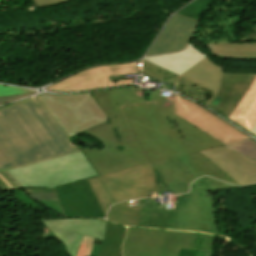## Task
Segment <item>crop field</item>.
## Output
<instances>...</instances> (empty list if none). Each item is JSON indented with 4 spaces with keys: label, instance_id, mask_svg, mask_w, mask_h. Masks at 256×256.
<instances>
[{
    "label": "crop field",
    "instance_id": "obj_1",
    "mask_svg": "<svg viewBox=\"0 0 256 256\" xmlns=\"http://www.w3.org/2000/svg\"><path fill=\"white\" fill-rule=\"evenodd\" d=\"M40 96L0 108V172L80 152Z\"/></svg>",
    "mask_w": 256,
    "mask_h": 256
},
{
    "label": "crop field",
    "instance_id": "obj_2",
    "mask_svg": "<svg viewBox=\"0 0 256 256\" xmlns=\"http://www.w3.org/2000/svg\"><path fill=\"white\" fill-rule=\"evenodd\" d=\"M159 92L152 90L149 101H145L143 89L140 88L91 93L112 122L81 133L98 139L106 147L104 150L81 148L100 175L148 163L121 106L168 101L176 95L172 93L169 97H162L158 96Z\"/></svg>",
    "mask_w": 256,
    "mask_h": 256
},
{
    "label": "crop field",
    "instance_id": "obj_3",
    "mask_svg": "<svg viewBox=\"0 0 256 256\" xmlns=\"http://www.w3.org/2000/svg\"><path fill=\"white\" fill-rule=\"evenodd\" d=\"M123 109L149 162L223 146L175 116L172 101Z\"/></svg>",
    "mask_w": 256,
    "mask_h": 256
},
{
    "label": "crop field",
    "instance_id": "obj_4",
    "mask_svg": "<svg viewBox=\"0 0 256 256\" xmlns=\"http://www.w3.org/2000/svg\"><path fill=\"white\" fill-rule=\"evenodd\" d=\"M23 187L55 188L99 176L81 153L8 171Z\"/></svg>",
    "mask_w": 256,
    "mask_h": 256
},
{
    "label": "crop field",
    "instance_id": "obj_5",
    "mask_svg": "<svg viewBox=\"0 0 256 256\" xmlns=\"http://www.w3.org/2000/svg\"><path fill=\"white\" fill-rule=\"evenodd\" d=\"M89 183L105 216L116 202L151 197L156 191L151 163L92 178Z\"/></svg>",
    "mask_w": 256,
    "mask_h": 256
},
{
    "label": "crop field",
    "instance_id": "obj_6",
    "mask_svg": "<svg viewBox=\"0 0 256 256\" xmlns=\"http://www.w3.org/2000/svg\"><path fill=\"white\" fill-rule=\"evenodd\" d=\"M152 164L155 169L157 194L165 191L172 194L186 193L189 191V184L203 175L240 185L199 152L163 159Z\"/></svg>",
    "mask_w": 256,
    "mask_h": 256
},
{
    "label": "crop field",
    "instance_id": "obj_7",
    "mask_svg": "<svg viewBox=\"0 0 256 256\" xmlns=\"http://www.w3.org/2000/svg\"><path fill=\"white\" fill-rule=\"evenodd\" d=\"M236 186L202 177L193 182L191 192L178 195V230L203 231L220 235L215 223V209L212 191Z\"/></svg>",
    "mask_w": 256,
    "mask_h": 256
},
{
    "label": "crop field",
    "instance_id": "obj_8",
    "mask_svg": "<svg viewBox=\"0 0 256 256\" xmlns=\"http://www.w3.org/2000/svg\"><path fill=\"white\" fill-rule=\"evenodd\" d=\"M40 96L71 137L108 119L90 93Z\"/></svg>",
    "mask_w": 256,
    "mask_h": 256
},
{
    "label": "crop field",
    "instance_id": "obj_9",
    "mask_svg": "<svg viewBox=\"0 0 256 256\" xmlns=\"http://www.w3.org/2000/svg\"><path fill=\"white\" fill-rule=\"evenodd\" d=\"M144 60L216 92L223 75V67L214 65L210 58L192 45L175 54L148 57Z\"/></svg>",
    "mask_w": 256,
    "mask_h": 256
},
{
    "label": "crop field",
    "instance_id": "obj_10",
    "mask_svg": "<svg viewBox=\"0 0 256 256\" xmlns=\"http://www.w3.org/2000/svg\"><path fill=\"white\" fill-rule=\"evenodd\" d=\"M45 225L82 233L104 240L98 256H122L121 244L126 227L102 220L85 218L43 219Z\"/></svg>",
    "mask_w": 256,
    "mask_h": 256
},
{
    "label": "crop field",
    "instance_id": "obj_11",
    "mask_svg": "<svg viewBox=\"0 0 256 256\" xmlns=\"http://www.w3.org/2000/svg\"><path fill=\"white\" fill-rule=\"evenodd\" d=\"M173 103L175 107V115L181 117L183 120L225 145L243 141L250 137L199 105L183 97L176 95Z\"/></svg>",
    "mask_w": 256,
    "mask_h": 256
},
{
    "label": "crop field",
    "instance_id": "obj_12",
    "mask_svg": "<svg viewBox=\"0 0 256 256\" xmlns=\"http://www.w3.org/2000/svg\"><path fill=\"white\" fill-rule=\"evenodd\" d=\"M55 190L65 216L105 218L87 180Z\"/></svg>",
    "mask_w": 256,
    "mask_h": 256
},
{
    "label": "crop field",
    "instance_id": "obj_13",
    "mask_svg": "<svg viewBox=\"0 0 256 256\" xmlns=\"http://www.w3.org/2000/svg\"><path fill=\"white\" fill-rule=\"evenodd\" d=\"M137 74L136 62L133 64H122L98 67L86 70L61 82H58L47 90L54 91H82L107 87L110 75Z\"/></svg>",
    "mask_w": 256,
    "mask_h": 256
},
{
    "label": "crop field",
    "instance_id": "obj_14",
    "mask_svg": "<svg viewBox=\"0 0 256 256\" xmlns=\"http://www.w3.org/2000/svg\"><path fill=\"white\" fill-rule=\"evenodd\" d=\"M169 231L129 227L124 256H165Z\"/></svg>",
    "mask_w": 256,
    "mask_h": 256
},
{
    "label": "crop field",
    "instance_id": "obj_15",
    "mask_svg": "<svg viewBox=\"0 0 256 256\" xmlns=\"http://www.w3.org/2000/svg\"><path fill=\"white\" fill-rule=\"evenodd\" d=\"M196 22L194 19L175 14L147 56L183 50L193 35Z\"/></svg>",
    "mask_w": 256,
    "mask_h": 256
},
{
    "label": "crop field",
    "instance_id": "obj_16",
    "mask_svg": "<svg viewBox=\"0 0 256 256\" xmlns=\"http://www.w3.org/2000/svg\"><path fill=\"white\" fill-rule=\"evenodd\" d=\"M256 74L224 73L217 95L208 105L226 117H229Z\"/></svg>",
    "mask_w": 256,
    "mask_h": 256
},
{
    "label": "crop field",
    "instance_id": "obj_17",
    "mask_svg": "<svg viewBox=\"0 0 256 256\" xmlns=\"http://www.w3.org/2000/svg\"><path fill=\"white\" fill-rule=\"evenodd\" d=\"M241 185L256 182V162L224 147L201 151Z\"/></svg>",
    "mask_w": 256,
    "mask_h": 256
},
{
    "label": "crop field",
    "instance_id": "obj_18",
    "mask_svg": "<svg viewBox=\"0 0 256 256\" xmlns=\"http://www.w3.org/2000/svg\"><path fill=\"white\" fill-rule=\"evenodd\" d=\"M149 73V74H148ZM143 76H150L153 79L175 83L174 91L185 94L204 105L210 103L216 92L190 82L178 75L148 63L143 60ZM184 95V96H185Z\"/></svg>",
    "mask_w": 256,
    "mask_h": 256
},
{
    "label": "crop field",
    "instance_id": "obj_19",
    "mask_svg": "<svg viewBox=\"0 0 256 256\" xmlns=\"http://www.w3.org/2000/svg\"><path fill=\"white\" fill-rule=\"evenodd\" d=\"M178 210L159 209V203L139 200L138 226L177 230Z\"/></svg>",
    "mask_w": 256,
    "mask_h": 256
},
{
    "label": "crop field",
    "instance_id": "obj_20",
    "mask_svg": "<svg viewBox=\"0 0 256 256\" xmlns=\"http://www.w3.org/2000/svg\"><path fill=\"white\" fill-rule=\"evenodd\" d=\"M230 119L249 132L256 124V79L249 87L239 104L232 112Z\"/></svg>",
    "mask_w": 256,
    "mask_h": 256
},
{
    "label": "crop field",
    "instance_id": "obj_21",
    "mask_svg": "<svg viewBox=\"0 0 256 256\" xmlns=\"http://www.w3.org/2000/svg\"><path fill=\"white\" fill-rule=\"evenodd\" d=\"M48 228L62 240L69 251V256H97L101 246L94 245L93 238Z\"/></svg>",
    "mask_w": 256,
    "mask_h": 256
},
{
    "label": "crop field",
    "instance_id": "obj_22",
    "mask_svg": "<svg viewBox=\"0 0 256 256\" xmlns=\"http://www.w3.org/2000/svg\"><path fill=\"white\" fill-rule=\"evenodd\" d=\"M255 42H232L207 45L213 55L237 60H256Z\"/></svg>",
    "mask_w": 256,
    "mask_h": 256
},
{
    "label": "crop field",
    "instance_id": "obj_23",
    "mask_svg": "<svg viewBox=\"0 0 256 256\" xmlns=\"http://www.w3.org/2000/svg\"><path fill=\"white\" fill-rule=\"evenodd\" d=\"M202 233L170 231L166 256H179L181 249L198 251Z\"/></svg>",
    "mask_w": 256,
    "mask_h": 256
},
{
    "label": "crop field",
    "instance_id": "obj_24",
    "mask_svg": "<svg viewBox=\"0 0 256 256\" xmlns=\"http://www.w3.org/2000/svg\"><path fill=\"white\" fill-rule=\"evenodd\" d=\"M137 217L138 206L129 207V201L115 204L108 212V220L129 226H137Z\"/></svg>",
    "mask_w": 256,
    "mask_h": 256
},
{
    "label": "crop field",
    "instance_id": "obj_25",
    "mask_svg": "<svg viewBox=\"0 0 256 256\" xmlns=\"http://www.w3.org/2000/svg\"><path fill=\"white\" fill-rule=\"evenodd\" d=\"M25 189L34 200L63 214L54 189Z\"/></svg>",
    "mask_w": 256,
    "mask_h": 256
},
{
    "label": "crop field",
    "instance_id": "obj_26",
    "mask_svg": "<svg viewBox=\"0 0 256 256\" xmlns=\"http://www.w3.org/2000/svg\"><path fill=\"white\" fill-rule=\"evenodd\" d=\"M224 147L256 161V141L251 137L243 142Z\"/></svg>",
    "mask_w": 256,
    "mask_h": 256
},
{
    "label": "crop field",
    "instance_id": "obj_27",
    "mask_svg": "<svg viewBox=\"0 0 256 256\" xmlns=\"http://www.w3.org/2000/svg\"><path fill=\"white\" fill-rule=\"evenodd\" d=\"M211 2L212 0H194L177 13L198 20L202 12Z\"/></svg>",
    "mask_w": 256,
    "mask_h": 256
},
{
    "label": "crop field",
    "instance_id": "obj_28",
    "mask_svg": "<svg viewBox=\"0 0 256 256\" xmlns=\"http://www.w3.org/2000/svg\"><path fill=\"white\" fill-rule=\"evenodd\" d=\"M23 189L7 172L0 174V191Z\"/></svg>",
    "mask_w": 256,
    "mask_h": 256
},
{
    "label": "crop field",
    "instance_id": "obj_29",
    "mask_svg": "<svg viewBox=\"0 0 256 256\" xmlns=\"http://www.w3.org/2000/svg\"><path fill=\"white\" fill-rule=\"evenodd\" d=\"M29 92H34V91L29 89L18 88V87L0 85V96L18 95V94L29 93Z\"/></svg>",
    "mask_w": 256,
    "mask_h": 256
},
{
    "label": "crop field",
    "instance_id": "obj_30",
    "mask_svg": "<svg viewBox=\"0 0 256 256\" xmlns=\"http://www.w3.org/2000/svg\"><path fill=\"white\" fill-rule=\"evenodd\" d=\"M214 237L215 236H213V235L203 233L199 250L210 252L213 248Z\"/></svg>",
    "mask_w": 256,
    "mask_h": 256
},
{
    "label": "crop field",
    "instance_id": "obj_31",
    "mask_svg": "<svg viewBox=\"0 0 256 256\" xmlns=\"http://www.w3.org/2000/svg\"><path fill=\"white\" fill-rule=\"evenodd\" d=\"M32 94H35V92L34 93H30V94L18 95V96H4V97H0V105L8 103V102H11V101L18 100V99L23 98V97L30 96Z\"/></svg>",
    "mask_w": 256,
    "mask_h": 256
},
{
    "label": "crop field",
    "instance_id": "obj_32",
    "mask_svg": "<svg viewBox=\"0 0 256 256\" xmlns=\"http://www.w3.org/2000/svg\"><path fill=\"white\" fill-rule=\"evenodd\" d=\"M134 78L110 80L109 86L132 85Z\"/></svg>",
    "mask_w": 256,
    "mask_h": 256
},
{
    "label": "crop field",
    "instance_id": "obj_33",
    "mask_svg": "<svg viewBox=\"0 0 256 256\" xmlns=\"http://www.w3.org/2000/svg\"><path fill=\"white\" fill-rule=\"evenodd\" d=\"M64 1H67V0H32L33 4L36 7L56 4V3H60V2H64Z\"/></svg>",
    "mask_w": 256,
    "mask_h": 256
},
{
    "label": "crop field",
    "instance_id": "obj_34",
    "mask_svg": "<svg viewBox=\"0 0 256 256\" xmlns=\"http://www.w3.org/2000/svg\"><path fill=\"white\" fill-rule=\"evenodd\" d=\"M256 40V25L253 26V33L238 38V41Z\"/></svg>",
    "mask_w": 256,
    "mask_h": 256
},
{
    "label": "crop field",
    "instance_id": "obj_35",
    "mask_svg": "<svg viewBox=\"0 0 256 256\" xmlns=\"http://www.w3.org/2000/svg\"><path fill=\"white\" fill-rule=\"evenodd\" d=\"M250 133L253 134L254 136H256V126L254 127V129Z\"/></svg>",
    "mask_w": 256,
    "mask_h": 256
},
{
    "label": "crop field",
    "instance_id": "obj_36",
    "mask_svg": "<svg viewBox=\"0 0 256 256\" xmlns=\"http://www.w3.org/2000/svg\"><path fill=\"white\" fill-rule=\"evenodd\" d=\"M115 78H124V76H110V79H115Z\"/></svg>",
    "mask_w": 256,
    "mask_h": 256
},
{
    "label": "crop field",
    "instance_id": "obj_37",
    "mask_svg": "<svg viewBox=\"0 0 256 256\" xmlns=\"http://www.w3.org/2000/svg\"><path fill=\"white\" fill-rule=\"evenodd\" d=\"M174 209H178V203L175 204Z\"/></svg>",
    "mask_w": 256,
    "mask_h": 256
}]
</instances>
